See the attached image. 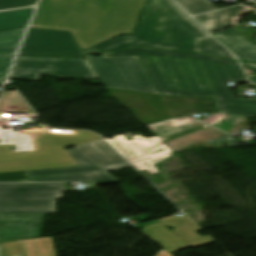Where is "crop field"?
<instances>
[{"label":"crop field","mask_w":256,"mask_h":256,"mask_svg":"<svg viewBox=\"0 0 256 256\" xmlns=\"http://www.w3.org/2000/svg\"><path fill=\"white\" fill-rule=\"evenodd\" d=\"M34 8L0 12V31L26 28Z\"/></svg>","instance_id":"crop-field-19"},{"label":"crop field","mask_w":256,"mask_h":256,"mask_svg":"<svg viewBox=\"0 0 256 256\" xmlns=\"http://www.w3.org/2000/svg\"><path fill=\"white\" fill-rule=\"evenodd\" d=\"M67 152L78 166L107 164L124 161L103 140L79 145Z\"/></svg>","instance_id":"crop-field-11"},{"label":"crop field","mask_w":256,"mask_h":256,"mask_svg":"<svg viewBox=\"0 0 256 256\" xmlns=\"http://www.w3.org/2000/svg\"><path fill=\"white\" fill-rule=\"evenodd\" d=\"M256 72V64H246Z\"/></svg>","instance_id":"crop-field-33"},{"label":"crop field","mask_w":256,"mask_h":256,"mask_svg":"<svg viewBox=\"0 0 256 256\" xmlns=\"http://www.w3.org/2000/svg\"><path fill=\"white\" fill-rule=\"evenodd\" d=\"M134 140L127 142L124 135L114 136L113 139L105 138L127 160L136 159L150 151L156 145L162 143L157 137L143 138L141 135L133 137Z\"/></svg>","instance_id":"crop-field-12"},{"label":"crop field","mask_w":256,"mask_h":256,"mask_svg":"<svg viewBox=\"0 0 256 256\" xmlns=\"http://www.w3.org/2000/svg\"><path fill=\"white\" fill-rule=\"evenodd\" d=\"M168 153H172V152L163 143V144L157 146L156 148H154L153 150H151L150 152H148L147 154L143 155L142 157H140L136 160L130 161V163L148 159V158H152V157H156V156H160V155H164V154H168Z\"/></svg>","instance_id":"crop-field-30"},{"label":"crop field","mask_w":256,"mask_h":256,"mask_svg":"<svg viewBox=\"0 0 256 256\" xmlns=\"http://www.w3.org/2000/svg\"><path fill=\"white\" fill-rule=\"evenodd\" d=\"M141 233L169 252L189 247L160 223L144 227Z\"/></svg>","instance_id":"crop-field-16"},{"label":"crop field","mask_w":256,"mask_h":256,"mask_svg":"<svg viewBox=\"0 0 256 256\" xmlns=\"http://www.w3.org/2000/svg\"><path fill=\"white\" fill-rule=\"evenodd\" d=\"M195 23L171 0H147L133 34L106 40L85 52L89 55L127 47H151L208 53L237 61Z\"/></svg>","instance_id":"crop-field-3"},{"label":"crop field","mask_w":256,"mask_h":256,"mask_svg":"<svg viewBox=\"0 0 256 256\" xmlns=\"http://www.w3.org/2000/svg\"><path fill=\"white\" fill-rule=\"evenodd\" d=\"M169 156H171V154L153 158V159H149V160H145V161H141V162H137V163H133L132 165L134 167H136L139 171L147 169L151 174H154V173H158V170L153 165L162 161L163 159H165Z\"/></svg>","instance_id":"crop-field-27"},{"label":"crop field","mask_w":256,"mask_h":256,"mask_svg":"<svg viewBox=\"0 0 256 256\" xmlns=\"http://www.w3.org/2000/svg\"><path fill=\"white\" fill-rule=\"evenodd\" d=\"M102 56H138L163 95L233 98L227 82L246 81L237 62L209 55L132 49Z\"/></svg>","instance_id":"crop-field-1"},{"label":"crop field","mask_w":256,"mask_h":256,"mask_svg":"<svg viewBox=\"0 0 256 256\" xmlns=\"http://www.w3.org/2000/svg\"><path fill=\"white\" fill-rule=\"evenodd\" d=\"M87 58L104 87L157 94L137 57Z\"/></svg>","instance_id":"crop-field-6"},{"label":"crop field","mask_w":256,"mask_h":256,"mask_svg":"<svg viewBox=\"0 0 256 256\" xmlns=\"http://www.w3.org/2000/svg\"><path fill=\"white\" fill-rule=\"evenodd\" d=\"M252 82L256 83V76L249 78Z\"/></svg>","instance_id":"crop-field-34"},{"label":"crop field","mask_w":256,"mask_h":256,"mask_svg":"<svg viewBox=\"0 0 256 256\" xmlns=\"http://www.w3.org/2000/svg\"><path fill=\"white\" fill-rule=\"evenodd\" d=\"M244 6H238L198 17H194L204 28L208 31H214L217 29H221L227 26L234 25V22L231 18L240 16L239 10L245 9Z\"/></svg>","instance_id":"crop-field-17"},{"label":"crop field","mask_w":256,"mask_h":256,"mask_svg":"<svg viewBox=\"0 0 256 256\" xmlns=\"http://www.w3.org/2000/svg\"><path fill=\"white\" fill-rule=\"evenodd\" d=\"M157 256H172V254L163 249Z\"/></svg>","instance_id":"crop-field-32"},{"label":"crop field","mask_w":256,"mask_h":256,"mask_svg":"<svg viewBox=\"0 0 256 256\" xmlns=\"http://www.w3.org/2000/svg\"><path fill=\"white\" fill-rule=\"evenodd\" d=\"M21 135L11 131L0 130V140L10 141V150L31 149L30 137L27 129H22Z\"/></svg>","instance_id":"crop-field-24"},{"label":"crop field","mask_w":256,"mask_h":256,"mask_svg":"<svg viewBox=\"0 0 256 256\" xmlns=\"http://www.w3.org/2000/svg\"><path fill=\"white\" fill-rule=\"evenodd\" d=\"M158 221L165 226L170 225L173 227V232L191 247L212 243L208 237H200L196 235L195 232L200 229L185 216L177 217L173 215L171 217L159 219Z\"/></svg>","instance_id":"crop-field-14"},{"label":"crop field","mask_w":256,"mask_h":256,"mask_svg":"<svg viewBox=\"0 0 256 256\" xmlns=\"http://www.w3.org/2000/svg\"><path fill=\"white\" fill-rule=\"evenodd\" d=\"M63 191V184H0V213H54Z\"/></svg>","instance_id":"crop-field-5"},{"label":"crop field","mask_w":256,"mask_h":256,"mask_svg":"<svg viewBox=\"0 0 256 256\" xmlns=\"http://www.w3.org/2000/svg\"><path fill=\"white\" fill-rule=\"evenodd\" d=\"M145 0H42L30 27L71 31L81 49L131 33Z\"/></svg>","instance_id":"crop-field-2"},{"label":"crop field","mask_w":256,"mask_h":256,"mask_svg":"<svg viewBox=\"0 0 256 256\" xmlns=\"http://www.w3.org/2000/svg\"><path fill=\"white\" fill-rule=\"evenodd\" d=\"M222 133L221 131L211 127L207 130H200V131H194L191 133H186L178 138H174L169 140V142L174 145L178 150L187 147L189 145H192L194 143H197L199 141H202L204 139H207L209 137L215 136L217 134Z\"/></svg>","instance_id":"crop-field-22"},{"label":"crop field","mask_w":256,"mask_h":256,"mask_svg":"<svg viewBox=\"0 0 256 256\" xmlns=\"http://www.w3.org/2000/svg\"><path fill=\"white\" fill-rule=\"evenodd\" d=\"M41 74L66 80L98 79L88 60L17 57L9 77L38 81Z\"/></svg>","instance_id":"crop-field-7"},{"label":"crop field","mask_w":256,"mask_h":256,"mask_svg":"<svg viewBox=\"0 0 256 256\" xmlns=\"http://www.w3.org/2000/svg\"><path fill=\"white\" fill-rule=\"evenodd\" d=\"M22 242L26 256H56L51 237Z\"/></svg>","instance_id":"crop-field-23"},{"label":"crop field","mask_w":256,"mask_h":256,"mask_svg":"<svg viewBox=\"0 0 256 256\" xmlns=\"http://www.w3.org/2000/svg\"><path fill=\"white\" fill-rule=\"evenodd\" d=\"M29 131L32 150L9 151L0 141V172L77 166L47 128Z\"/></svg>","instance_id":"crop-field-4"},{"label":"crop field","mask_w":256,"mask_h":256,"mask_svg":"<svg viewBox=\"0 0 256 256\" xmlns=\"http://www.w3.org/2000/svg\"><path fill=\"white\" fill-rule=\"evenodd\" d=\"M215 99L220 113L256 116V100Z\"/></svg>","instance_id":"crop-field-18"},{"label":"crop field","mask_w":256,"mask_h":256,"mask_svg":"<svg viewBox=\"0 0 256 256\" xmlns=\"http://www.w3.org/2000/svg\"><path fill=\"white\" fill-rule=\"evenodd\" d=\"M102 169H104L106 172L129 167L130 165L126 162L122 163H115V164H108V165H99Z\"/></svg>","instance_id":"crop-field-31"},{"label":"crop field","mask_w":256,"mask_h":256,"mask_svg":"<svg viewBox=\"0 0 256 256\" xmlns=\"http://www.w3.org/2000/svg\"><path fill=\"white\" fill-rule=\"evenodd\" d=\"M0 182H30L27 177V171L15 173L0 174Z\"/></svg>","instance_id":"crop-field-28"},{"label":"crop field","mask_w":256,"mask_h":256,"mask_svg":"<svg viewBox=\"0 0 256 256\" xmlns=\"http://www.w3.org/2000/svg\"><path fill=\"white\" fill-rule=\"evenodd\" d=\"M36 2L37 0H0V10L31 6Z\"/></svg>","instance_id":"crop-field-29"},{"label":"crop field","mask_w":256,"mask_h":256,"mask_svg":"<svg viewBox=\"0 0 256 256\" xmlns=\"http://www.w3.org/2000/svg\"><path fill=\"white\" fill-rule=\"evenodd\" d=\"M25 255L21 241L0 243V256Z\"/></svg>","instance_id":"crop-field-26"},{"label":"crop field","mask_w":256,"mask_h":256,"mask_svg":"<svg viewBox=\"0 0 256 256\" xmlns=\"http://www.w3.org/2000/svg\"><path fill=\"white\" fill-rule=\"evenodd\" d=\"M49 130L64 148L101 139L97 135L88 132L55 129Z\"/></svg>","instance_id":"crop-field-20"},{"label":"crop field","mask_w":256,"mask_h":256,"mask_svg":"<svg viewBox=\"0 0 256 256\" xmlns=\"http://www.w3.org/2000/svg\"><path fill=\"white\" fill-rule=\"evenodd\" d=\"M44 214H0V242L39 238Z\"/></svg>","instance_id":"crop-field-10"},{"label":"crop field","mask_w":256,"mask_h":256,"mask_svg":"<svg viewBox=\"0 0 256 256\" xmlns=\"http://www.w3.org/2000/svg\"><path fill=\"white\" fill-rule=\"evenodd\" d=\"M6 116V114H0V117H5Z\"/></svg>","instance_id":"crop-field-35"},{"label":"crop field","mask_w":256,"mask_h":256,"mask_svg":"<svg viewBox=\"0 0 256 256\" xmlns=\"http://www.w3.org/2000/svg\"><path fill=\"white\" fill-rule=\"evenodd\" d=\"M25 29L0 32V85Z\"/></svg>","instance_id":"crop-field-15"},{"label":"crop field","mask_w":256,"mask_h":256,"mask_svg":"<svg viewBox=\"0 0 256 256\" xmlns=\"http://www.w3.org/2000/svg\"><path fill=\"white\" fill-rule=\"evenodd\" d=\"M17 112H28L30 116H36L21 99L17 91H3L0 96V113Z\"/></svg>","instance_id":"crop-field-21"},{"label":"crop field","mask_w":256,"mask_h":256,"mask_svg":"<svg viewBox=\"0 0 256 256\" xmlns=\"http://www.w3.org/2000/svg\"><path fill=\"white\" fill-rule=\"evenodd\" d=\"M256 13V12H255Z\"/></svg>","instance_id":"crop-field-36"},{"label":"crop field","mask_w":256,"mask_h":256,"mask_svg":"<svg viewBox=\"0 0 256 256\" xmlns=\"http://www.w3.org/2000/svg\"><path fill=\"white\" fill-rule=\"evenodd\" d=\"M213 35L242 60L256 63V46L234 28L213 33Z\"/></svg>","instance_id":"crop-field-13"},{"label":"crop field","mask_w":256,"mask_h":256,"mask_svg":"<svg viewBox=\"0 0 256 256\" xmlns=\"http://www.w3.org/2000/svg\"><path fill=\"white\" fill-rule=\"evenodd\" d=\"M18 56L65 58L83 55L70 32L29 28Z\"/></svg>","instance_id":"crop-field-8"},{"label":"crop field","mask_w":256,"mask_h":256,"mask_svg":"<svg viewBox=\"0 0 256 256\" xmlns=\"http://www.w3.org/2000/svg\"><path fill=\"white\" fill-rule=\"evenodd\" d=\"M182 5L191 15L198 13L216 10L214 6L208 3L206 0H176Z\"/></svg>","instance_id":"crop-field-25"},{"label":"crop field","mask_w":256,"mask_h":256,"mask_svg":"<svg viewBox=\"0 0 256 256\" xmlns=\"http://www.w3.org/2000/svg\"><path fill=\"white\" fill-rule=\"evenodd\" d=\"M31 182H93L94 184L118 181L98 165L54 170L28 171Z\"/></svg>","instance_id":"crop-field-9"}]
</instances>
